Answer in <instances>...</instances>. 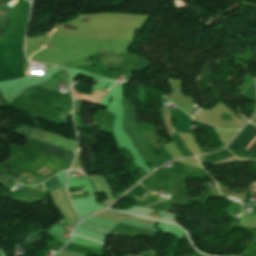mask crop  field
<instances>
[{"mask_svg": "<svg viewBox=\"0 0 256 256\" xmlns=\"http://www.w3.org/2000/svg\"><path fill=\"white\" fill-rule=\"evenodd\" d=\"M250 124H247L244 127V129L235 137V139L227 146L229 150L235 151L239 148L245 149L246 146L250 143V141L256 136V127ZM255 140H256V137L247 146L246 150L250 147V145ZM248 150L256 152V141L252 144V146Z\"/></svg>", "mask_w": 256, "mask_h": 256, "instance_id": "8a807250", "label": "crop field"}, {"mask_svg": "<svg viewBox=\"0 0 256 256\" xmlns=\"http://www.w3.org/2000/svg\"><path fill=\"white\" fill-rule=\"evenodd\" d=\"M65 113L63 114V116L60 118L59 122H61L62 118L64 117Z\"/></svg>", "mask_w": 256, "mask_h": 256, "instance_id": "22f410ed", "label": "crop field"}, {"mask_svg": "<svg viewBox=\"0 0 256 256\" xmlns=\"http://www.w3.org/2000/svg\"><path fill=\"white\" fill-rule=\"evenodd\" d=\"M79 153L80 152H78L77 155H76V158H75V161H74V164H73L72 168H76V169L80 168Z\"/></svg>", "mask_w": 256, "mask_h": 256, "instance_id": "3316defc", "label": "crop field"}, {"mask_svg": "<svg viewBox=\"0 0 256 256\" xmlns=\"http://www.w3.org/2000/svg\"><path fill=\"white\" fill-rule=\"evenodd\" d=\"M251 123L256 125V115L254 116V118L252 119Z\"/></svg>", "mask_w": 256, "mask_h": 256, "instance_id": "28ad6ade", "label": "crop field"}, {"mask_svg": "<svg viewBox=\"0 0 256 256\" xmlns=\"http://www.w3.org/2000/svg\"><path fill=\"white\" fill-rule=\"evenodd\" d=\"M92 216L104 218V219L115 221V222H117V221H119L123 218L138 221V222H142V223H146V224H150V225H152L153 222H154L152 220L143 219V218H139V217L128 216V215H124V214H120V213H113V212L108 211V210H104V211L99 212L97 214H94Z\"/></svg>", "mask_w": 256, "mask_h": 256, "instance_id": "ac0d7876", "label": "crop field"}, {"mask_svg": "<svg viewBox=\"0 0 256 256\" xmlns=\"http://www.w3.org/2000/svg\"><path fill=\"white\" fill-rule=\"evenodd\" d=\"M44 185H45V189H46L47 192L61 187V184L59 183L56 176L49 179L48 181L44 182Z\"/></svg>", "mask_w": 256, "mask_h": 256, "instance_id": "f4fd0767", "label": "crop field"}, {"mask_svg": "<svg viewBox=\"0 0 256 256\" xmlns=\"http://www.w3.org/2000/svg\"><path fill=\"white\" fill-rule=\"evenodd\" d=\"M68 190H69V192H72V191H82L80 186H78V187H68ZM73 193H79V192H73ZM83 196H84L83 193H80V194H70L71 199L79 198V197H83Z\"/></svg>", "mask_w": 256, "mask_h": 256, "instance_id": "d8731c3e", "label": "crop field"}, {"mask_svg": "<svg viewBox=\"0 0 256 256\" xmlns=\"http://www.w3.org/2000/svg\"><path fill=\"white\" fill-rule=\"evenodd\" d=\"M247 161H249V160H242V159H239V158L235 157V158L230 159L228 161L223 160V161L215 162V165H225V164H230V163H234V162L244 163V162H247Z\"/></svg>", "mask_w": 256, "mask_h": 256, "instance_id": "e52e79f7", "label": "crop field"}, {"mask_svg": "<svg viewBox=\"0 0 256 256\" xmlns=\"http://www.w3.org/2000/svg\"><path fill=\"white\" fill-rule=\"evenodd\" d=\"M73 91V95L75 98H79V99H83V100H88V96L86 95H83V94H80V93H77L75 92L74 89H72ZM104 93H101L99 91H95L93 92L92 96H89V101L90 102H93V103H96V104H99L102 97H103Z\"/></svg>", "mask_w": 256, "mask_h": 256, "instance_id": "412701ff", "label": "crop field"}, {"mask_svg": "<svg viewBox=\"0 0 256 256\" xmlns=\"http://www.w3.org/2000/svg\"><path fill=\"white\" fill-rule=\"evenodd\" d=\"M42 153L50 154L66 160H71L73 153L71 151L59 149L50 145L45 144ZM72 161V160H71Z\"/></svg>", "mask_w": 256, "mask_h": 256, "instance_id": "34b2d1b8", "label": "crop field"}, {"mask_svg": "<svg viewBox=\"0 0 256 256\" xmlns=\"http://www.w3.org/2000/svg\"><path fill=\"white\" fill-rule=\"evenodd\" d=\"M152 194H155V195H157L158 193H155V192H153Z\"/></svg>", "mask_w": 256, "mask_h": 256, "instance_id": "cbeb9de0", "label": "crop field"}, {"mask_svg": "<svg viewBox=\"0 0 256 256\" xmlns=\"http://www.w3.org/2000/svg\"><path fill=\"white\" fill-rule=\"evenodd\" d=\"M50 168H46L41 174H40V176L42 175V174H44L47 170H49ZM48 172V171H47ZM43 176V175H42ZM41 176V177H42Z\"/></svg>", "mask_w": 256, "mask_h": 256, "instance_id": "d1516ede", "label": "crop field"}, {"mask_svg": "<svg viewBox=\"0 0 256 256\" xmlns=\"http://www.w3.org/2000/svg\"><path fill=\"white\" fill-rule=\"evenodd\" d=\"M74 102H75L74 112L79 113L81 109V100L74 98Z\"/></svg>", "mask_w": 256, "mask_h": 256, "instance_id": "5a996713", "label": "crop field"}, {"mask_svg": "<svg viewBox=\"0 0 256 256\" xmlns=\"http://www.w3.org/2000/svg\"><path fill=\"white\" fill-rule=\"evenodd\" d=\"M163 115H164V118H165V127H166L168 133L170 135L175 133L173 128H172V126H171V123H170V113H169V110L165 109L164 107H163Z\"/></svg>", "mask_w": 256, "mask_h": 256, "instance_id": "dd49c442", "label": "crop field"}]
</instances>
